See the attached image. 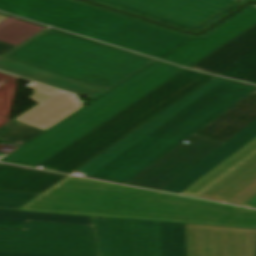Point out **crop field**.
<instances>
[{
    "mask_svg": "<svg viewBox=\"0 0 256 256\" xmlns=\"http://www.w3.org/2000/svg\"><path fill=\"white\" fill-rule=\"evenodd\" d=\"M19 210L256 228V210L71 176Z\"/></svg>",
    "mask_w": 256,
    "mask_h": 256,
    "instance_id": "1",
    "label": "crop field"
},
{
    "mask_svg": "<svg viewBox=\"0 0 256 256\" xmlns=\"http://www.w3.org/2000/svg\"><path fill=\"white\" fill-rule=\"evenodd\" d=\"M255 89L214 77L76 172L124 184Z\"/></svg>",
    "mask_w": 256,
    "mask_h": 256,
    "instance_id": "2",
    "label": "crop field"
},
{
    "mask_svg": "<svg viewBox=\"0 0 256 256\" xmlns=\"http://www.w3.org/2000/svg\"><path fill=\"white\" fill-rule=\"evenodd\" d=\"M0 10L158 59L191 38L68 0H0Z\"/></svg>",
    "mask_w": 256,
    "mask_h": 256,
    "instance_id": "3",
    "label": "crop field"
},
{
    "mask_svg": "<svg viewBox=\"0 0 256 256\" xmlns=\"http://www.w3.org/2000/svg\"><path fill=\"white\" fill-rule=\"evenodd\" d=\"M0 56L108 90L155 62L47 29L18 47L0 42Z\"/></svg>",
    "mask_w": 256,
    "mask_h": 256,
    "instance_id": "4",
    "label": "crop field"
},
{
    "mask_svg": "<svg viewBox=\"0 0 256 256\" xmlns=\"http://www.w3.org/2000/svg\"><path fill=\"white\" fill-rule=\"evenodd\" d=\"M213 76L184 70L40 166L71 174Z\"/></svg>",
    "mask_w": 256,
    "mask_h": 256,
    "instance_id": "5",
    "label": "crop field"
},
{
    "mask_svg": "<svg viewBox=\"0 0 256 256\" xmlns=\"http://www.w3.org/2000/svg\"><path fill=\"white\" fill-rule=\"evenodd\" d=\"M182 70L156 63L2 162L35 168Z\"/></svg>",
    "mask_w": 256,
    "mask_h": 256,
    "instance_id": "6",
    "label": "crop field"
},
{
    "mask_svg": "<svg viewBox=\"0 0 256 256\" xmlns=\"http://www.w3.org/2000/svg\"><path fill=\"white\" fill-rule=\"evenodd\" d=\"M0 251L99 256L92 226L34 221L27 231L0 230Z\"/></svg>",
    "mask_w": 256,
    "mask_h": 256,
    "instance_id": "7",
    "label": "crop field"
},
{
    "mask_svg": "<svg viewBox=\"0 0 256 256\" xmlns=\"http://www.w3.org/2000/svg\"><path fill=\"white\" fill-rule=\"evenodd\" d=\"M190 29H200L243 0H100Z\"/></svg>",
    "mask_w": 256,
    "mask_h": 256,
    "instance_id": "8",
    "label": "crop field"
},
{
    "mask_svg": "<svg viewBox=\"0 0 256 256\" xmlns=\"http://www.w3.org/2000/svg\"><path fill=\"white\" fill-rule=\"evenodd\" d=\"M155 163L143 170L126 185L162 191L184 173L219 148L223 143L193 135Z\"/></svg>",
    "mask_w": 256,
    "mask_h": 256,
    "instance_id": "9",
    "label": "crop field"
},
{
    "mask_svg": "<svg viewBox=\"0 0 256 256\" xmlns=\"http://www.w3.org/2000/svg\"><path fill=\"white\" fill-rule=\"evenodd\" d=\"M189 68L256 84V24Z\"/></svg>",
    "mask_w": 256,
    "mask_h": 256,
    "instance_id": "10",
    "label": "crop field"
},
{
    "mask_svg": "<svg viewBox=\"0 0 256 256\" xmlns=\"http://www.w3.org/2000/svg\"><path fill=\"white\" fill-rule=\"evenodd\" d=\"M188 256H255L256 230L186 224ZM211 248L212 251H205Z\"/></svg>",
    "mask_w": 256,
    "mask_h": 256,
    "instance_id": "11",
    "label": "crop field"
},
{
    "mask_svg": "<svg viewBox=\"0 0 256 256\" xmlns=\"http://www.w3.org/2000/svg\"><path fill=\"white\" fill-rule=\"evenodd\" d=\"M107 220L114 256H161L158 222Z\"/></svg>",
    "mask_w": 256,
    "mask_h": 256,
    "instance_id": "12",
    "label": "crop field"
},
{
    "mask_svg": "<svg viewBox=\"0 0 256 256\" xmlns=\"http://www.w3.org/2000/svg\"><path fill=\"white\" fill-rule=\"evenodd\" d=\"M26 87L35 90L32 92L35 94L28 98L39 104L14 121L47 131L84 107L76 101L73 94L45 87L34 82Z\"/></svg>",
    "mask_w": 256,
    "mask_h": 256,
    "instance_id": "13",
    "label": "crop field"
},
{
    "mask_svg": "<svg viewBox=\"0 0 256 256\" xmlns=\"http://www.w3.org/2000/svg\"><path fill=\"white\" fill-rule=\"evenodd\" d=\"M256 23V7H252L206 38H196L163 60L188 67L249 26Z\"/></svg>",
    "mask_w": 256,
    "mask_h": 256,
    "instance_id": "14",
    "label": "crop field"
},
{
    "mask_svg": "<svg viewBox=\"0 0 256 256\" xmlns=\"http://www.w3.org/2000/svg\"><path fill=\"white\" fill-rule=\"evenodd\" d=\"M200 198L245 206L256 198V156Z\"/></svg>",
    "mask_w": 256,
    "mask_h": 256,
    "instance_id": "15",
    "label": "crop field"
},
{
    "mask_svg": "<svg viewBox=\"0 0 256 256\" xmlns=\"http://www.w3.org/2000/svg\"><path fill=\"white\" fill-rule=\"evenodd\" d=\"M256 120V91L219 116L195 135L227 142Z\"/></svg>",
    "mask_w": 256,
    "mask_h": 256,
    "instance_id": "16",
    "label": "crop field"
},
{
    "mask_svg": "<svg viewBox=\"0 0 256 256\" xmlns=\"http://www.w3.org/2000/svg\"><path fill=\"white\" fill-rule=\"evenodd\" d=\"M65 177L0 163V191L40 195Z\"/></svg>",
    "mask_w": 256,
    "mask_h": 256,
    "instance_id": "17",
    "label": "crop field"
},
{
    "mask_svg": "<svg viewBox=\"0 0 256 256\" xmlns=\"http://www.w3.org/2000/svg\"><path fill=\"white\" fill-rule=\"evenodd\" d=\"M256 137V121L167 187L164 192L180 194Z\"/></svg>",
    "mask_w": 256,
    "mask_h": 256,
    "instance_id": "18",
    "label": "crop field"
},
{
    "mask_svg": "<svg viewBox=\"0 0 256 256\" xmlns=\"http://www.w3.org/2000/svg\"><path fill=\"white\" fill-rule=\"evenodd\" d=\"M0 70L26 77L32 80H36L42 83H46L71 92H75L82 96L92 98L94 100L98 99L99 97L108 92V90L82 83L3 57H0Z\"/></svg>",
    "mask_w": 256,
    "mask_h": 256,
    "instance_id": "19",
    "label": "crop field"
},
{
    "mask_svg": "<svg viewBox=\"0 0 256 256\" xmlns=\"http://www.w3.org/2000/svg\"><path fill=\"white\" fill-rule=\"evenodd\" d=\"M256 155V138L224 161L190 188L182 193V195L198 197L234 170L239 168L245 162Z\"/></svg>",
    "mask_w": 256,
    "mask_h": 256,
    "instance_id": "20",
    "label": "crop field"
},
{
    "mask_svg": "<svg viewBox=\"0 0 256 256\" xmlns=\"http://www.w3.org/2000/svg\"><path fill=\"white\" fill-rule=\"evenodd\" d=\"M27 220L92 225L91 217L0 210V229L26 230Z\"/></svg>",
    "mask_w": 256,
    "mask_h": 256,
    "instance_id": "21",
    "label": "crop field"
},
{
    "mask_svg": "<svg viewBox=\"0 0 256 256\" xmlns=\"http://www.w3.org/2000/svg\"><path fill=\"white\" fill-rule=\"evenodd\" d=\"M162 256H187L185 224L159 222Z\"/></svg>",
    "mask_w": 256,
    "mask_h": 256,
    "instance_id": "22",
    "label": "crop field"
},
{
    "mask_svg": "<svg viewBox=\"0 0 256 256\" xmlns=\"http://www.w3.org/2000/svg\"><path fill=\"white\" fill-rule=\"evenodd\" d=\"M43 29L45 27L10 17L0 24V41L18 46Z\"/></svg>",
    "mask_w": 256,
    "mask_h": 256,
    "instance_id": "23",
    "label": "crop field"
},
{
    "mask_svg": "<svg viewBox=\"0 0 256 256\" xmlns=\"http://www.w3.org/2000/svg\"><path fill=\"white\" fill-rule=\"evenodd\" d=\"M44 132L12 121L0 129V140L21 147ZM19 141L23 143L17 145L16 143Z\"/></svg>",
    "mask_w": 256,
    "mask_h": 256,
    "instance_id": "24",
    "label": "crop field"
},
{
    "mask_svg": "<svg viewBox=\"0 0 256 256\" xmlns=\"http://www.w3.org/2000/svg\"><path fill=\"white\" fill-rule=\"evenodd\" d=\"M37 196L0 192V209L17 210Z\"/></svg>",
    "mask_w": 256,
    "mask_h": 256,
    "instance_id": "25",
    "label": "crop field"
},
{
    "mask_svg": "<svg viewBox=\"0 0 256 256\" xmlns=\"http://www.w3.org/2000/svg\"><path fill=\"white\" fill-rule=\"evenodd\" d=\"M103 256H113L106 218L94 217Z\"/></svg>",
    "mask_w": 256,
    "mask_h": 256,
    "instance_id": "26",
    "label": "crop field"
},
{
    "mask_svg": "<svg viewBox=\"0 0 256 256\" xmlns=\"http://www.w3.org/2000/svg\"><path fill=\"white\" fill-rule=\"evenodd\" d=\"M89 1H92V0H89ZM92 2H96V3L102 4V5H106V6H109V7L115 8V9H119V10H122V11H125V12H129V13H132V14H135V15H139V16H142V17L154 20V21H158V22L161 21L160 19H156V18H153V17H150V16H146V15H143V14H140V13L129 11V10H126V9H123V8H119V7H116V6H113V5H109V4H106V3H103V2H99V1H96V0L92 1ZM246 3H247L246 1L242 2L241 4L237 5L238 7L235 8L234 10H232V11L229 10L230 11L229 13H227V12H226L227 14L224 13L223 15L219 16L218 18H216L212 22H210L207 25H205L204 27H202L200 30H190L188 28H185L183 26L176 25V24H173V23H170V22H168L167 25H170V26H173V27H176V28H180V29H183V30H186V31H189V32H198V33H200L201 31H203V30L207 29L208 27L214 25L215 23H217L218 21H220L221 19H223L224 17H226L230 13L234 12L235 10H237L238 8H240L241 6H243Z\"/></svg>",
    "mask_w": 256,
    "mask_h": 256,
    "instance_id": "27",
    "label": "crop field"
},
{
    "mask_svg": "<svg viewBox=\"0 0 256 256\" xmlns=\"http://www.w3.org/2000/svg\"><path fill=\"white\" fill-rule=\"evenodd\" d=\"M0 256H55V255H37V254H19V253H1Z\"/></svg>",
    "mask_w": 256,
    "mask_h": 256,
    "instance_id": "28",
    "label": "crop field"
},
{
    "mask_svg": "<svg viewBox=\"0 0 256 256\" xmlns=\"http://www.w3.org/2000/svg\"><path fill=\"white\" fill-rule=\"evenodd\" d=\"M247 207L256 208V199L254 201H252L250 204H248Z\"/></svg>",
    "mask_w": 256,
    "mask_h": 256,
    "instance_id": "29",
    "label": "crop field"
},
{
    "mask_svg": "<svg viewBox=\"0 0 256 256\" xmlns=\"http://www.w3.org/2000/svg\"><path fill=\"white\" fill-rule=\"evenodd\" d=\"M8 17H5V16H2V15H0V23L2 22V21H4L5 19H7Z\"/></svg>",
    "mask_w": 256,
    "mask_h": 256,
    "instance_id": "30",
    "label": "crop field"
},
{
    "mask_svg": "<svg viewBox=\"0 0 256 256\" xmlns=\"http://www.w3.org/2000/svg\"><path fill=\"white\" fill-rule=\"evenodd\" d=\"M6 154H2V153H0V157H3V156H5Z\"/></svg>",
    "mask_w": 256,
    "mask_h": 256,
    "instance_id": "31",
    "label": "crop field"
},
{
    "mask_svg": "<svg viewBox=\"0 0 256 256\" xmlns=\"http://www.w3.org/2000/svg\"><path fill=\"white\" fill-rule=\"evenodd\" d=\"M246 1H256V0H246Z\"/></svg>",
    "mask_w": 256,
    "mask_h": 256,
    "instance_id": "32",
    "label": "crop field"
}]
</instances>
